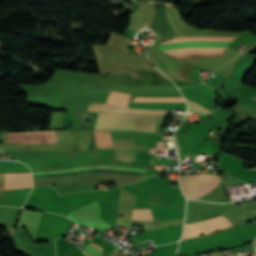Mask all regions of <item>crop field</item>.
Here are the masks:
<instances>
[{"mask_svg":"<svg viewBox=\"0 0 256 256\" xmlns=\"http://www.w3.org/2000/svg\"><path fill=\"white\" fill-rule=\"evenodd\" d=\"M235 38L222 37H186L170 39L166 42L175 41H195V40H212V41H233ZM160 43V44H162ZM230 42H211V41H196V42H175L158 45L160 49L176 48V47H190V46H216L227 47ZM216 47H191V48H177L162 50L175 57H219L226 48Z\"/></svg>","mask_w":256,"mask_h":256,"instance_id":"1","label":"crop field"},{"mask_svg":"<svg viewBox=\"0 0 256 256\" xmlns=\"http://www.w3.org/2000/svg\"><path fill=\"white\" fill-rule=\"evenodd\" d=\"M155 117L98 113L95 130H144L154 132Z\"/></svg>","mask_w":256,"mask_h":256,"instance_id":"2","label":"crop field"},{"mask_svg":"<svg viewBox=\"0 0 256 256\" xmlns=\"http://www.w3.org/2000/svg\"><path fill=\"white\" fill-rule=\"evenodd\" d=\"M220 181L219 176L201 174L180 177V186L186 198L197 199L211 190Z\"/></svg>","mask_w":256,"mask_h":256,"instance_id":"3","label":"crop field"},{"mask_svg":"<svg viewBox=\"0 0 256 256\" xmlns=\"http://www.w3.org/2000/svg\"><path fill=\"white\" fill-rule=\"evenodd\" d=\"M99 214L100 207L94 202L68 213V216L78 224H86L100 230L109 224L103 222Z\"/></svg>","mask_w":256,"mask_h":256,"instance_id":"4","label":"crop field"},{"mask_svg":"<svg viewBox=\"0 0 256 256\" xmlns=\"http://www.w3.org/2000/svg\"><path fill=\"white\" fill-rule=\"evenodd\" d=\"M7 142L30 144L58 143L54 131L9 133Z\"/></svg>","mask_w":256,"mask_h":256,"instance_id":"5","label":"crop field"},{"mask_svg":"<svg viewBox=\"0 0 256 256\" xmlns=\"http://www.w3.org/2000/svg\"><path fill=\"white\" fill-rule=\"evenodd\" d=\"M87 111L105 112L112 114H143L157 116H166L168 113V111L124 109L100 104H89Z\"/></svg>","mask_w":256,"mask_h":256,"instance_id":"6","label":"crop field"},{"mask_svg":"<svg viewBox=\"0 0 256 256\" xmlns=\"http://www.w3.org/2000/svg\"><path fill=\"white\" fill-rule=\"evenodd\" d=\"M31 173L5 174L6 190L31 187Z\"/></svg>","mask_w":256,"mask_h":256,"instance_id":"7","label":"crop field"},{"mask_svg":"<svg viewBox=\"0 0 256 256\" xmlns=\"http://www.w3.org/2000/svg\"><path fill=\"white\" fill-rule=\"evenodd\" d=\"M39 212L23 210L21 211V216L18 226H24L30 233L32 239L34 240L35 232L40 218Z\"/></svg>","mask_w":256,"mask_h":256,"instance_id":"8","label":"crop field"},{"mask_svg":"<svg viewBox=\"0 0 256 256\" xmlns=\"http://www.w3.org/2000/svg\"><path fill=\"white\" fill-rule=\"evenodd\" d=\"M89 169H115V170H127V171H137V172L145 171V169H131V168L106 167V166H88V167L69 169V170H61V171L37 172V173H33V175L62 174V173L77 172V171H83V170H89Z\"/></svg>","mask_w":256,"mask_h":256,"instance_id":"9","label":"crop field"},{"mask_svg":"<svg viewBox=\"0 0 256 256\" xmlns=\"http://www.w3.org/2000/svg\"><path fill=\"white\" fill-rule=\"evenodd\" d=\"M98 148H113L109 131H94Z\"/></svg>","mask_w":256,"mask_h":256,"instance_id":"10","label":"crop field"},{"mask_svg":"<svg viewBox=\"0 0 256 256\" xmlns=\"http://www.w3.org/2000/svg\"><path fill=\"white\" fill-rule=\"evenodd\" d=\"M128 94L112 92L105 103L126 107L129 99Z\"/></svg>","mask_w":256,"mask_h":256,"instance_id":"11","label":"crop field"},{"mask_svg":"<svg viewBox=\"0 0 256 256\" xmlns=\"http://www.w3.org/2000/svg\"><path fill=\"white\" fill-rule=\"evenodd\" d=\"M87 254H89L90 256H102V247L90 242L84 249ZM84 251H81L82 253H84L85 255H87ZM87 255V256H89Z\"/></svg>","mask_w":256,"mask_h":256,"instance_id":"12","label":"crop field"},{"mask_svg":"<svg viewBox=\"0 0 256 256\" xmlns=\"http://www.w3.org/2000/svg\"><path fill=\"white\" fill-rule=\"evenodd\" d=\"M131 219H138V220H152V216L149 209H137L134 210Z\"/></svg>","mask_w":256,"mask_h":256,"instance_id":"13","label":"crop field"},{"mask_svg":"<svg viewBox=\"0 0 256 256\" xmlns=\"http://www.w3.org/2000/svg\"><path fill=\"white\" fill-rule=\"evenodd\" d=\"M132 101L184 102L183 99L134 98Z\"/></svg>","mask_w":256,"mask_h":256,"instance_id":"14","label":"crop field"},{"mask_svg":"<svg viewBox=\"0 0 256 256\" xmlns=\"http://www.w3.org/2000/svg\"><path fill=\"white\" fill-rule=\"evenodd\" d=\"M186 102H187L188 108L192 109L195 112L202 113V114H205V115L209 114V113H212V112L208 111L207 109H205V108H203L201 106H198V105H196V104H194V103H192V102H190L188 100H186Z\"/></svg>","mask_w":256,"mask_h":256,"instance_id":"15","label":"crop field"},{"mask_svg":"<svg viewBox=\"0 0 256 256\" xmlns=\"http://www.w3.org/2000/svg\"><path fill=\"white\" fill-rule=\"evenodd\" d=\"M248 99L253 100V101H255V102H256V96H253V97L248 98Z\"/></svg>","mask_w":256,"mask_h":256,"instance_id":"16","label":"crop field"},{"mask_svg":"<svg viewBox=\"0 0 256 256\" xmlns=\"http://www.w3.org/2000/svg\"><path fill=\"white\" fill-rule=\"evenodd\" d=\"M166 13H167V6H166ZM168 16V14H167ZM169 18V17H168ZM171 23V22H170ZM171 26L174 28V26L171 24ZM175 29V28H174ZM176 31V30H175ZM177 33V32H176ZM178 35V34H177Z\"/></svg>","mask_w":256,"mask_h":256,"instance_id":"17","label":"crop field"},{"mask_svg":"<svg viewBox=\"0 0 256 256\" xmlns=\"http://www.w3.org/2000/svg\"><path fill=\"white\" fill-rule=\"evenodd\" d=\"M177 142H178V145H179V141H178V138H177ZM179 147H180V145H179Z\"/></svg>","mask_w":256,"mask_h":256,"instance_id":"18","label":"crop field"},{"mask_svg":"<svg viewBox=\"0 0 256 256\" xmlns=\"http://www.w3.org/2000/svg\"><path fill=\"white\" fill-rule=\"evenodd\" d=\"M206 256H208V255H206Z\"/></svg>","mask_w":256,"mask_h":256,"instance_id":"19","label":"crop field"}]
</instances>
